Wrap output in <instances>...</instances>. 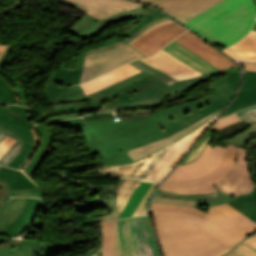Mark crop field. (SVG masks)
<instances>
[{
	"mask_svg": "<svg viewBox=\"0 0 256 256\" xmlns=\"http://www.w3.org/2000/svg\"><path fill=\"white\" fill-rule=\"evenodd\" d=\"M253 30H256V22H255V24H254Z\"/></svg>",
	"mask_w": 256,
	"mask_h": 256,
	"instance_id": "f0312440",
	"label": "crop field"
},
{
	"mask_svg": "<svg viewBox=\"0 0 256 256\" xmlns=\"http://www.w3.org/2000/svg\"><path fill=\"white\" fill-rule=\"evenodd\" d=\"M0 103L3 104H13V96L8 88L7 85H5L0 80Z\"/></svg>",
	"mask_w": 256,
	"mask_h": 256,
	"instance_id": "dbb93151",
	"label": "crop field"
},
{
	"mask_svg": "<svg viewBox=\"0 0 256 256\" xmlns=\"http://www.w3.org/2000/svg\"><path fill=\"white\" fill-rule=\"evenodd\" d=\"M0 141L8 134L12 136L13 138L17 139L18 141L14 144V146L0 159V164L7 166L20 152V150L23 148V143L19 136L16 134L10 132L6 128L0 126Z\"/></svg>",
	"mask_w": 256,
	"mask_h": 256,
	"instance_id": "c035e120",
	"label": "crop field"
},
{
	"mask_svg": "<svg viewBox=\"0 0 256 256\" xmlns=\"http://www.w3.org/2000/svg\"><path fill=\"white\" fill-rule=\"evenodd\" d=\"M255 17L252 0H224L184 24L210 43L228 46L249 32Z\"/></svg>",
	"mask_w": 256,
	"mask_h": 256,
	"instance_id": "34b2d1b8",
	"label": "crop field"
},
{
	"mask_svg": "<svg viewBox=\"0 0 256 256\" xmlns=\"http://www.w3.org/2000/svg\"><path fill=\"white\" fill-rule=\"evenodd\" d=\"M238 114L246 121H256V106L238 112Z\"/></svg>",
	"mask_w": 256,
	"mask_h": 256,
	"instance_id": "db79e9e6",
	"label": "crop field"
},
{
	"mask_svg": "<svg viewBox=\"0 0 256 256\" xmlns=\"http://www.w3.org/2000/svg\"><path fill=\"white\" fill-rule=\"evenodd\" d=\"M237 121H241V119L238 117V115L236 113L230 115V116H227L225 118H222L220 120H218L213 128H215L216 130L220 129V128H223V127H226L228 125H231Z\"/></svg>",
	"mask_w": 256,
	"mask_h": 256,
	"instance_id": "0fb4a251",
	"label": "crop field"
},
{
	"mask_svg": "<svg viewBox=\"0 0 256 256\" xmlns=\"http://www.w3.org/2000/svg\"><path fill=\"white\" fill-rule=\"evenodd\" d=\"M156 11L153 8L145 7L124 13L117 14L103 22H100L88 15L73 24L67 31L81 38L95 36L102 33L105 26L120 22L125 19L135 18L149 12Z\"/></svg>",
	"mask_w": 256,
	"mask_h": 256,
	"instance_id": "5142ce71",
	"label": "crop field"
},
{
	"mask_svg": "<svg viewBox=\"0 0 256 256\" xmlns=\"http://www.w3.org/2000/svg\"><path fill=\"white\" fill-rule=\"evenodd\" d=\"M209 211L225 220L243 234L256 230V224L227 204L211 207Z\"/></svg>",
	"mask_w": 256,
	"mask_h": 256,
	"instance_id": "a9b5d70f",
	"label": "crop field"
},
{
	"mask_svg": "<svg viewBox=\"0 0 256 256\" xmlns=\"http://www.w3.org/2000/svg\"><path fill=\"white\" fill-rule=\"evenodd\" d=\"M221 106V107H220ZM225 105L217 102L215 104H212L210 106L197 109L195 111H192L188 114H185L181 117H178L174 120L168 121L166 123L160 124L161 128L164 130V132L170 136L176 131L202 119L203 117L209 115L210 113L224 107Z\"/></svg>",
	"mask_w": 256,
	"mask_h": 256,
	"instance_id": "4177f3b9",
	"label": "crop field"
},
{
	"mask_svg": "<svg viewBox=\"0 0 256 256\" xmlns=\"http://www.w3.org/2000/svg\"><path fill=\"white\" fill-rule=\"evenodd\" d=\"M12 196H28V197H41L42 193L38 189L30 190H10Z\"/></svg>",
	"mask_w": 256,
	"mask_h": 256,
	"instance_id": "447ae74e",
	"label": "crop field"
},
{
	"mask_svg": "<svg viewBox=\"0 0 256 256\" xmlns=\"http://www.w3.org/2000/svg\"><path fill=\"white\" fill-rule=\"evenodd\" d=\"M9 45H0V61H2L6 55Z\"/></svg>",
	"mask_w": 256,
	"mask_h": 256,
	"instance_id": "ade564c9",
	"label": "crop field"
},
{
	"mask_svg": "<svg viewBox=\"0 0 256 256\" xmlns=\"http://www.w3.org/2000/svg\"><path fill=\"white\" fill-rule=\"evenodd\" d=\"M17 140L10 136H6L0 143V158L12 147Z\"/></svg>",
	"mask_w": 256,
	"mask_h": 256,
	"instance_id": "0765c3eb",
	"label": "crop field"
},
{
	"mask_svg": "<svg viewBox=\"0 0 256 256\" xmlns=\"http://www.w3.org/2000/svg\"><path fill=\"white\" fill-rule=\"evenodd\" d=\"M215 118L216 116L183 139L136 163L106 167L99 171L118 177L162 180Z\"/></svg>",
	"mask_w": 256,
	"mask_h": 256,
	"instance_id": "412701ff",
	"label": "crop field"
},
{
	"mask_svg": "<svg viewBox=\"0 0 256 256\" xmlns=\"http://www.w3.org/2000/svg\"><path fill=\"white\" fill-rule=\"evenodd\" d=\"M212 87L215 90L212 96L154 112L151 119L129 123L120 119L86 122L90 130L84 132L89 154L102 155L104 166L134 162L124 151L167 137L158 124L217 101L227 105L235 95L222 79Z\"/></svg>",
	"mask_w": 256,
	"mask_h": 256,
	"instance_id": "8a807250",
	"label": "crop field"
},
{
	"mask_svg": "<svg viewBox=\"0 0 256 256\" xmlns=\"http://www.w3.org/2000/svg\"><path fill=\"white\" fill-rule=\"evenodd\" d=\"M143 17H145L147 19L141 21L139 24H137L135 27H133L132 29H130L129 31H127L123 35L130 37L134 32H136L140 28L146 26L147 24L151 23L152 21H154L156 19H159V18H162V17H166V15H164L163 13H161L159 11H156V12H152L150 14L144 15V16H140L138 18H143Z\"/></svg>",
	"mask_w": 256,
	"mask_h": 256,
	"instance_id": "25e5ab78",
	"label": "crop field"
},
{
	"mask_svg": "<svg viewBox=\"0 0 256 256\" xmlns=\"http://www.w3.org/2000/svg\"><path fill=\"white\" fill-rule=\"evenodd\" d=\"M220 256H256V250L240 242L235 247Z\"/></svg>",
	"mask_w": 256,
	"mask_h": 256,
	"instance_id": "425ffa30",
	"label": "crop field"
},
{
	"mask_svg": "<svg viewBox=\"0 0 256 256\" xmlns=\"http://www.w3.org/2000/svg\"><path fill=\"white\" fill-rule=\"evenodd\" d=\"M240 63L244 66L245 69L256 71V65H254V64L242 63V62H240Z\"/></svg>",
	"mask_w": 256,
	"mask_h": 256,
	"instance_id": "c3a83c6f",
	"label": "crop field"
},
{
	"mask_svg": "<svg viewBox=\"0 0 256 256\" xmlns=\"http://www.w3.org/2000/svg\"><path fill=\"white\" fill-rule=\"evenodd\" d=\"M237 147V162L232 170L214 187L217 191L229 193L233 196L249 194L256 189L250 176L249 165L245 148Z\"/></svg>",
	"mask_w": 256,
	"mask_h": 256,
	"instance_id": "5a996713",
	"label": "crop field"
},
{
	"mask_svg": "<svg viewBox=\"0 0 256 256\" xmlns=\"http://www.w3.org/2000/svg\"><path fill=\"white\" fill-rule=\"evenodd\" d=\"M236 158L235 146L228 143L219 166L211 174L196 180L163 182L160 189L186 194L217 192L213 186L231 170Z\"/></svg>",
	"mask_w": 256,
	"mask_h": 256,
	"instance_id": "e52e79f7",
	"label": "crop field"
},
{
	"mask_svg": "<svg viewBox=\"0 0 256 256\" xmlns=\"http://www.w3.org/2000/svg\"><path fill=\"white\" fill-rule=\"evenodd\" d=\"M251 193H253L254 195H256V190H255V191H253V192H251Z\"/></svg>",
	"mask_w": 256,
	"mask_h": 256,
	"instance_id": "1f1604b0",
	"label": "crop field"
},
{
	"mask_svg": "<svg viewBox=\"0 0 256 256\" xmlns=\"http://www.w3.org/2000/svg\"><path fill=\"white\" fill-rule=\"evenodd\" d=\"M210 203L197 202L195 208L192 207H183V206H173V205H165L158 203H151V212H176V213H186L201 217L203 219L206 218L207 212L199 210L200 205H204L209 207Z\"/></svg>",
	"mask_w": 256,
	"mask_h": 256,
	"instance_id": "028f5c9d",
	"label": "crop field"
},
{
	"mask_svg": "<svg viewBox=\"0 0 256 256\" xmlns=\"http://www.w3.org/2000/svg\"><path fill=\"white\" fill-rule=\"evenodd\" d=\"M159 182L121 179L117 192L116 209L112 215L93 220V222L148 215V202Z\"/></svg>",
	"mask_w": 256,
	"mask_h": 256,
	"instance_id": "dd49c442",
	"label": "crop field"
},
{
	"mask_svg": "<svg viewBox=\"0 0 256 256\" xmlns=\"http://www.w3.org/2000/svg\"><path fill=\"white\" fill-rule=\"evenodd\" d=\"M9 239V237L0 235V242Z\"/></svg>",
	"mask_w": 256,
	"mask_h": 256,
	"instance_id": "180be81f",
	"label": "crop field"
},
{
	"mask_svg": "<svg viewBox=\"0 0 256 256\" xmlns=\"http://www.w3.org/2000/svg\"><path fill=\"white\" fill-rule=\"evenodd\" d=\"M157 107L156 105H151L147 107H136V108H124V109H112V108H103L100 112L102 111H127V110H139V109H150Z\"/></svg>",
	"mask_w": 256,
	"mask_h": 256,
	"instance_id": "ae633e8c",
	"label": "crop field"
},
{
	"mask_svg": "<svg viewBox=\"0 0 256 256\" xmlns=\"http://www.w3.org/2000/svg\"><path fill=\"white\" fill-rule=\"evenodd\" d=\"M129 223V218L102 223L103 256H134Z\"/></svg>",
	"mask_w": 256,
	"mask_h": 256,
	"instance_id": "d8731c3e",
	"label": "crop field"
},
{
	"mask_svg": "<svg viewBox=\"0 0 256 256\" xmlns=\"http://www.w3.org/2000/svg\"><path fill=\"white\" fill-rule=\"evenodd\" d=\"M84 55L85 53L81 54L78 66L75 70L67 69V64H64L61 67V71L54 72L48 81L60 85H71L79 83L80 75L82 72Z\"/></svg>",
	"mask_w": 256,
	"mask_h": 256,
	"instance_id": "1d83c4d3",
	"label": "crop field"
},
{
	"mask_svg": "<svg viewBox=\"0 0 256 256\" xmlns=\"http://www.w3.org/2000/svg\"><path fill=\"white\" fill-rule=\"evenodd\" d=\"M48 124L62 125V126H66L69 128L83 130V131L88 130L85 123L83 122V119H81V118L61 120V121L47 123L46 125H48Z\"/></svg>",
	"mask_w": 256,
	"mask_h": 256,
	"instance_id": "73cf0c24",
	"label": "crop field"
},
{
	"mask_svg": "<svg viewBox=\"0 0 256 256\" xmlns=\"http://www.w3.org/2000/svg\"><path fill=\"white\" fill-rule=\"evenodd\" d=\"M4 106L0 104V111ZM9 117L0 113V125L6 127L10 131L18 134L22 141L24 142V149L19 153V155L8 165L9 167H13L18 169L21 163L25 160V158L30 153L34 138L32 132L28 128H22L19 125L8 120Z\"/></svg>",
	"mask_w": 256,
	"mask_h": 256,
	"instance_id": "eef30255",
	"label": "crop field"
},
{
	"mask_svg": "<svg viewBox=\"0 0 256 256\" xmlns=\"http://www.w3.org/2000/svg\"><path fill=\"white\" fill-rule=\"evenodd\" d=\"M165 94L166 91L148 83L122 92L120 96L110 101L105 107L123 108L158 104L165 101Z\"/></svg>",
	"mask_w": 256,
	"mask_h": 256,
	"instance_id": "22f410ed",
	"label": "crop field"
},
{
	"mask_svg": "<svg viewBox=\"0 0 256 256\" xmlns=\"http://www.w3.org/2000/svg\"><path fill=\"white\" fill-rule=\"evenodd\" d=\"M247 124L251 126L249 129L245 130L237 136L228 139L227 142L245 147V142L248 140V138L256 136V122H251Z\"/></svg>",
	"mask_w": 256,
	"mask_h": 256,
	"instance_id": "d23c7cc5",
	"label": "crop field"
},
{
	"mask_svg": "<svg viewBox=\"0 0 256 256\" xmlns=\"http://www.w3.org/2000/svg\"><path fill=\"white\" fill-rule=\"evenodd\" d=\"M139 60L173 76L178 80L202 75L201 73L189 68L188 66L162 50L150 58H144Z\"/></svg>",
	"mask_w": 256,
	"mask_h": 256,
	"instance_id": "4a817a6b",
	"label": "crop field"
},
{
	"mask_svg": "<svg viewBox=\"0 0 256 256\" xmlns=\"http://www.w3.org/2000/svg\"><path fill=\"white\" fill-rule=\"evenodd\" d=\"M0 180L9 183L10 189L37 188L22 172L3 166L0 168Z\"/></svg>",
	"mask_w": 256,
	"mask_h": 256,
	"instance_id": "bd1437ed",
	"label": "crop field"
},
{
	"mask_svg": "<svg viewBox=\"0 0 256 256\" xmlns=\"http://www.w3.org/2000/svg\"><path fill=\"white\" fill-rule=\"evenodd\" d=\"M26 198H12L8 207H0V230L6 229V225L13 222L21 213Z\"/></svg>",
	"mask_w": 256,
	"mask_h": 256,
	"instance_id": "5866460e",
	"label": "crop field"
},
{
	"mask_svg": "<svg viewBox=\"0 0 256 256\" xmlns=\"http://www.w3.org/2000/svg\"><path fill=\"white\" fill-rule=\"evenodd\" d=\"M254 1V4H255V7H256V0H253Z\"/></svg>",
	"mask_w": 256,
	"mask_h": 256,
	"instance_id": "819c52e7",
	"label": "crop field"
},
{
	"mask_svg": "<svg viewBox=\"0 0 256 256\" xmlns=\"http://www.w3.org/2000/svg\"><path fill=\"white\" fill-rule=\"evenodd\" d=\"M101 21L110 16L146 5L129 0H58Z\"/></svg>",
	"mask_w": 256,
	"mask_h": 256,
	"instance_id": "d1516ede",
	"label": "crop field"
},
{
	"mask_svg": "<svg viewBox=\"0 0 256 256\" xmlns=\"http://www.w3.org/2000/svg\"><path fill=\"white\" fill-rule=\"evenodd\" d=\"M253 104H256V72L246 70L244 81L237 98L221 117Z\"/></svg>",
	"mask_w": 256,
	"mask_h": 256,
	"instance_id": "dafd665d",
	"label": "crop field"
},
{
	"mask_svg": "<svg viewBox=\"0 0 256 256\" xmlns=\"http://www.w3.org/2000/svg\"><path fill=\"white\" fill-rule=\"evenodd\" d=\"M119 93L120 92L117 89H115L109 93L103 94L97 98H93L89 100V105L87 110H98L100 108H103L107 102H109L111 99L118 96Z\"/></svg>",
	"mask_w": 256,
	"mask_h": 256,
	"instance_id": "b54c1fbb",
	"label": "crop field"
},
{
	"mask_svg": "<svg viewBox=\"0 0 256 256\" xmlns=\"http://www.w3.org/2000/svg\"><path fill=\"white\" fill-rule=\"evenodd\" d=\"M185 31V28L171 20L148 29L129 43L144 54L150 56Z\"/></svg>",
	"mask_w": 256,
	"mask_h": 256,
	"instance_id": "3316defc",
	"label": "crop field"
},
{
	"mask_svg": "<svg viewBox=\"0 0 256 256\" xmlns=\"http://www.w3.org/2000/svg\"><path fill=\"white\" fill-rule=\"evenodd\" d=\"M85 120L92 119H106V118H114L113 113H100L96 115H87L83 117Z\"/></svg>",
	"mask_w": 256,
	"mask_h": 256,
	"instance_id": "e1d0b9f6",
	"label": "crop field"
},
{
	"mask_svg": "<svg viewBox=\"0 0 256 256\" xmlns=\"http://www.w3.org/2000/svg\"><path fill=\"white\" fill-rule=\"evenodd\" d=\"M138 69V68H137ZM133 66L127 64L119 69L108 72L100 77L84 82L81 85L85 95L95 92L105 86H108L114 82L124 79L128 76L140 72Z\"/></svg>",
	"mask_w": 256,
	"mask_h": 256,
	"instance_id": "00972430",
	"label": "crop field"
},
{
	"mask_svg": "<svg viewBox=\"0 0 256 256\" xmlns=\"http://www.w3.org/2000/svg\"><path fill=\"white\" fill-rule=\"evenodd\" d=\"M12 246L19 252L12 254L10 256H50L51 254L71 248V243L69 244H33L29 242H24L19 239L4 243L0 245V250L6 247Z\"/></svg>",
	"mask_w": 256,
	"mask_h": 256,
	"instance_id": "bc2a9ffb",
	"label": "crop field"
},
{
	"mask_svg": "<svg viewBox=\"0 0 256 256\" xmlns=\"http://www.w3.org/2000/svg\"><path fill=\"white\" fill-rule=\"evenodd\" d=\"M99 247H100V246H98V248H97L96 250H94V251H92V252H89V253H87V254H86V255H84V256H91V255H93V254L97 253V251H98Z\"/></svg>",
	"mask_w": 256,
	"mask_h": 256,
	"instance_id": "fb207236",
	"label": "crop field"
},
{
	"mask_svg": "<svg viewBox=\"0 0 256 256\" xmlns=\"http://www.w3.org/2000/svg\"><path fill=\"white\" fill-rule=\"evenodd\" d=\"M164 9L181 22H186L222 0H139Z\"/></svg>",
	"mask_w": 256,
	"mask_h": 256,
	"instance_id": "cbeb9de0",
	"label": "crop field"
},
{
	"mask_svg": "<svg viewBox=\"0 0 256 256\" xmlns=\"http://www.w3.org/2000/svg\"><path fill=\"white\" fill-rule=\"evenodd\" d=\"M246 244H248L249 246L253 247L254 249H256V234L247 238L246 240L242 241Z\"/></svg>",
	"mask_w": 256,
	"mask_h": 256,
	"instance_id": "c39391a2",
	"label": "crop field"
},
{
	"mask_svg": "<svg viewBox=\"0 0 256 256\" xmlns=\"http://www.w3.org/2000/svg\"><path fill=\"white\" fill-rule=\"evenodd\" d=\"M132 64H134L135 66H137L138 68L142 69L143 71L151 74L152 76L164 81L165 83L167 84H172L174 83L175 81H177L176 79H174L173 77L159 71V70H156L144 63H142L141 61L137 60V61H134L132 62Z\"/></svg>",
	"mask_w": 256,
	"mask_h": 256,
	"instance_id": "03da06ac",
	"label": "crop field"
},
{
	"mask_svg": "<svg viewBox=\"0 0 256 256\" xmlns=\"http://www.w3.org/2000/svg\"><path fill=\"white\" fill-rule=\"evenodd\" d=\"M2 113L10 116V120L16 122L22 127H34L30 117L28 116V110L19 106H5Z\"/></svg>",
	"mask_w": 256,
	"mask_h": 256,
	"instance_id": "b80d0937",
	"label": "crop field"
},
{
	"mask_svg": "<svg viewBox=\"0 0 256 256\" xmlns=\"http://www.w3.org/2000/svg\"><path fill=\"white\" fill-rule=\"evenodd\" d=\"M78 91H82L80 85H75L72 87H56L50 84H46V99L49 103H53L60 97L67 96L69 94H74Z\"/></svg>",
	"mask_w": 256,
	"mask_h": 256,
	"instance_id": "c21b1889",
	"label": "crop field"
},
{
	"mask_svg": "<svg viewBox=\"0 0 256 256\" xmlns=\"http://www.w3.org/2000/svg\"><path fill=\"white\" fill-rule=\"evenodd\" d=\"M152 202L166 203V204H173V205L193 206V207L195 206V203H196V201L164 198V197H158V196H154Z\"/></svg>",
	"mask_w": 256,
	"mask_h": 256,
	"instance_id": "1f2cbd36",
	"label": "crop field"
},
{
	"mask_svg": "<svg viewBox=\"0 0 256 256\" xmlns=\"http://www.w3.org/2000/svg\"><path fill=\"white\" fill-rule=\"evenodd\" d=\"M0 72H1L4 76H6L5 73H4V71H3L2 69H0ZM6 77H7V76H6ZM7 78H8V77H7ZM8 79H9V80L13 83V85L16 87L17 93H18L19 98H20L21 105L28 106L27 98H26V95H25V92H24L23 88L21 87V84L15 82V81H13V80H11L10 78H8Z\"/></svg>",
	"mask_w": 256,
	"mask_h": 256,
	"instance_id": "7b73153f",
	"label": "crop field"
},
{
	"mask_svg": "<svg viewBox=\"0 0 256 256\" xmlns=\"http://www.w3.org/2000/svg\"><path fill=\"white\" fill-rule=\"evenodd\" d=\"M239 79H240V71L239 72H232L229 73L227 75H225V77L223 78V80L225 81V83L234 91L236 92L237 90V86L239 83Z\"/></svg>",
	"mask_w": 256,
	"mask_h": 256,
	"instance_id": "1d79db26",
	"label": "crop field"
},
{
	"mask_svg": "<svg viewBox=\"0 0 256 256\" xmlns=\"http://www.w3.org/2000/svg\"><path fill=\"white\" fill-rule=\"evenodd\" d=\"M232 71H239V68L236 67V68H232V69H228V70L217 71V72L208 74L206 76L192 78V79H188V80H184V81H178V82L172 84L171 86L163 83L162 81H160L158 79H155L154 77H152L150 75H148L144 78L151 84L168 91V93L166 95V97H168V96H173L179 92H183V91L195 86L198 83L204 82L205 80L211 78L214 75H220L223 73L225 75L226 73L232 72Z\"/></svg>",
	"mask_w": 256,
	"mask_h": 256,
	"instance_id": "ae1a2a85",
	"label": "crop field"
},
{
	"mask_svg": "<svg viewBox=\"0 0 256 256\" xmlns=\"http://www.w3.org/2000/svg\"><path fill=\"white\" fill-rule=\"evenodd\" d=\"M40 203L41 199L27 198L21 215L13 223L7 225V230L0 231V234L9 237H15L21 234L32 220L34 212Z\"/></svg>",
	"mask_w": 256,
	"mask_h": 256,
	"instance_id": "750c4746",
	"label": "crop field"
},
{
	"mask_svg": "<svg viewBox=\"0 0 256 256\" xmlns=\"http://www.w3.org/2000/svg\"><path fill=\"white\" fill-rule=\"evenodd\" d=\"M88 101L85 102H72V103H60V104H51L52 110L45 112L41 115L38 121L51 118L63 113L71 112H81L85 111L87 108Z\"/></svg>",
	"mask_w": 256,
	"mask_h": 256,
	"instance_id": "e1f06a70",
	"label": "crop field"
},
{
	"mask_svg": "<svg viewBox=\"0 0 256 256\" xmlns=\"http://www.w3.org/2000/svg\"><path fill=\"white\" fill-rule=\"evenodd\" d=\"M223 52L236 60L256 61V31H251L244 39L226 48Z\"/></svg>",
	"mask_w": 256,
	"mask_h": 256,
	"instance_id": "d3111659",
	"label": "crop field"
},
{
	"mask_svg": "<svg viewBox=\"0 0 256 256\" xmlns=\"http://www.w3.org/2000/svg\"><path fill=\"white\" fill-rule=\"evenodd\" d=\"M152 216L164 256H209L246 237L210 212L205 220L176 213Z\"/></svg>",
	"mask_w": 256,
	"mask_h": 256,
	"instance_id": "ac0d7876",
	"label": "crop field"
},
{
	"mask_svg": "<svg viewBox=\"0 0 256 256\" xmlns=\"http://www.w3.org/2000/svg\"><path fill=\"white\" fill-rule=\"evenodd\" d=\"M158 193L165 194V195H171V196H179V197H185V198H196V199H204V200H209V199H214V198L224 196L223 194H221L219 192L211 193V194L185 195V194H178V193H172V192H166V191L159 190Z\"/></svg>",
	"mask_w": 256,
	"mask_h": 256,
	"instance_id": "89e229c0",
	"label": "crop field"
},
{
	"mask_svg": "<svg viewBox=\"0 0 256 256\" xmlns=\"http://www.w3.org/2000/svg\"><path fill=\"white\" fill-rule=\"evenodd\" d=\"M9 187L7 183L0 181V205L7 206L10 198Z\"/></svg>",
	"mask_w": 256,
	"mask_h": 256,
	"instance_id": "9d1cf04e",
	"label": "crop field"
},
{
	"mask_svg": "<svg viewBox=\"0 0 256 256\" xmlns=\"http://www.w3.org/2000/svg\"><path fill=\"white\" fill-rule=\"evenodd\" d=\"M80 116L79 113H72V114H64L58 117H54L51 119L43 120V122L50 121V120H58V119H64V118H70V117H77Z\"/></svg>",
	"mask_w": 256,
	"mask_h": 256,
	"instance_id": "d14b1444",
	"label": "crop field"
},
{
	"mask_svg": "<svg viewBox=\"0 0 256 256\" xmlns=\"http://www.w3.org/2000/svg\"><path fill=\"white\" fill-rule=\"evenodd\" d=\"M163 50L167 51L186 65L198 70L204 75L218 70L216 67L209 64L174 40L169 45L165 46Z\"/></svg>",
	"mask_w": 256,
	"mask_h": 256,
	"instance_id": "92a150f3",
	"label": "crop field"
},
{
	"mask_svg": "<svg viewBox=\"0 0 256 256\" xmlns=\"http://www.w3.org/2000/svg\"><path fill=\"white\" fill-rule=\"evenodd\" d=\"M213 132L210 130L207 132V134L199 141V143L193 148L192 151L186 156V158L179 164H186L195 158H197L204 150L205 146L207 145L209 139L212 137Z\"/></svg>",
	"mask_w": 256,
	"mask_h": 256,
	"instance_id": "5d738f31",
	"label": "crop field"
},
{
	"mask_svg": "<svg viewBox=\"0 0 256 256\" xmlns=\"http://www.w3.org/2000/svg\"><path fill=\"white\" fill-rule=\"evenodd\" d=\"M84 100H87V98H86V96L84 95V93L82 91V92H78V93H76L74 95H69L67 97L60 98L55 103L72 102V101H84Z\"/></svg>",
	"mask_w": 256,
	"mask_h": 256,
	"instance_id": "78b8030e",
	"label": "crop field"
},
{
	"mask_svg": "<svg viewBox=\"0 0 256 256\" xmlns=\"http://www.w3.org/2000/svg\"><path fill=\"white\" fill-rule=\"evenodd\" d=\"M222 109L218 110L217 112L203 118L202 120L196 122L195 124L173 134L172 136L163 139V140H159V141H155L149 144H146L144 146L126 151V153L134 160H138L140 158H143L149 154H152L158 150H160L161 148L167 146L168 144L176 141L177 139L181 138L182 136L186 135L187 133H189L190 131H192L194 128H196L197 126L201 125L202 123H204L205 121H207L208 119H210L211 117H213L214 115H216L217 113H219L220 111H222Z\"/></svg>",
	"mask_w": 256,
	"mask_h": 256,
	"instance_id": "214f88e0",
	"label": "crop field"
},
{
	"mask_svg": "<svg viewBox=\"0 0 256 256\" xmlns=\"http://www.w3.org/2000/svg\"><path fill=\"white\" fill-rule=\"evenodd\" d=\"M34 134V138H35V143H34V146H33V150L31 151L30 155L27 157V159L23 162V164L20 166V170L23 169V167L27 164V162L31 159V157L33 156V154L35 153L38 145H39V142H40V138L38 136V133L36 132L35 128H30Z\"/></svg>",
	"mask_w": 256,
	"mask_h": 256,
	"instance_id": "0f1d7ab4",
	"label": "crop field"
},
{
	"mask_svg": "<svg viewBox=\"0 0 256 256\" xmlns=\"http://www.w3.org/2000/svg\"><path fill=\"white\" fill-rule=\"evenodd\" d=\"M174 40L189 48L190 50L198 54L200 57L216 66L219 70L237 66L227 57L222 55L220 52L212 48L204 41L200 40L196 35L192 34L190 31L183 33L181 36Z\"/></svg>",
	"mask_w": 256,
	"mask_h": 256,
	"instance_id": "733c2abd",
	"label": "crop field"
},
{
	"mask_svg": "<svg viewBox=\"0 0 256 256\" xmlns=\"http://www.w3.org/2000/svg\"><path fill=\"white\" fill-rule=\"evenodd\" d=\"M225 149L207 145L204 152L193 162L177 167L164 181H182L202 177L212 172L220 162ZM212 162V164H210Z\"/></svg>",
	"mask_w": 256,
	"mask_h": 256,
	"instance_id": "28ad6ade",
	"label": "crop field"
},
{
	"mask_svg": "<svg viewBox=\"0 0 256 256\" xmlns=\"http://www.w3.org/2000/svg\"><path fill=\"white\" fill-rule=\"evenodd\" d=\"M224 251H226V250L223 248L222 250H220L219 252H217V253H215V254H213V255H211V256H218V255H220L221 253H223Z\"/></svg>",
	"mask_w": 256,
	"mask_h": 256,
	"instance_id": "7312dd0a",
	"label": "crop field"
},
{
	"mask_svg": "<svg viewBox=\"0 0 256 256\" xmlns=\"http://www.w3.org/2000/svg\"><path fill=\"white\" fill-rule=\"evenodd\" d=\"M36 127L43 139V142L36 156L33 158L30 164L24 169V172L31 179L41 161L49 153L50 132L48 131L47 126L45 124L37 125Z\"/></svg>",
	"mask_w": 256,
	"mask_h": 256,
	"instance_id": "120bbe31",
	"label": "crop field"
},
{
	"mask_svg": "<svg viewBox=\"0 0 256 256\" xmlns=\"http://www.w3.org/2000/svg\"><path fill=\"white\" fill-rule=\"evenodd\" d=\"M238 201L228 203L230 206L244 214L249 219L256 222V197L252 195H244L234 197Z\"/></svg>",
	"mask_w": 256,
	"mask_h": 256,
	"instance_id": "0bd39190",
	"label": "crop field"
},
{
	"mask_svg": "<svg viewBox=\"0 0 256 256\" xmlns=\"http://www.w3.org/2000/svg\"><path fill=\"white\" fill-rule=\"evenodd\" d=\"M146 75H148V74L142 71V72H140V73H138L136 75H133V76L128 77V78H126L124 80H121V81H119V82H117L115 84H112V85H110L108 87H105V88H103V89H101V90H99V91H97L95 93L87 95V98L89 100L90 98L96 97L98 95H101V94H103L105 92H108V91H110L112 89H115V88H117L120 92H122V91H126V90H129V89H132L134 87L143 85L145 83H148L146 80H144L142 78L143 76H146Z\"/></svg>",
	"mask_w": 256,
	"mask_h": 256,
	"instance_id": "d32e631a",
	"label": "crop field"
},
{
	"mask_svg": "<svg viewBox=\"0 0 256 256\" xmlns=\"http://www.w3.org/2000/svg\"><path fill=\"white\" fill-rule=\"evenodd\" d=\"M130 220L135 256H160L149 216Z\"/></svg>",
	"mask_w": 256,
	"mask_h": 256,
	"instance_id": "d9b57169",
	"label": "crop field"
},
{
	"mask_svg": "<svg viewBox=\"0 0 256 256\" xmlns=\"http://www.w3.org/2000/svg\"><path fill=\"white\" fill-rule=\"evenodd\" d=\"M95 192L100 193L99 197L96 199H91L87 202H80L72 204L73 207L83 213L91 208L95 207H105L110 210V212L115 209L116 201V191L118 186H93Z\"/></svg>",
	"mask_w": 256,
	"mask_h": 256,
	"instance_id": "730fd06b",
	"label": "crop field"
},
{
	"mask_svg": "<svg viewBox=\"0 0 256 256\" xmlns=\"http://www.w3.org/2000/svg\"><path fill=\"white\" fill-rule=\"evenodd\" d=\"M167 20L171 19L169 17L159 19L140 29L127 40L116 42L109 46L86 52L80 83L99 76L134 59L147 57L140 51L136 50L128 42L139 36L151 26Z\"/></svg>",
	"mask_w": 256,
	"mask_h": 256,
	"instance_id": "f4fd0767",
	"label": "crop field"
},
{
	"mask_svg": "<svg viewBox=\"0 0 256 256\" xmlns=\"http://www.w3.org/2000/svg\"><path fill=\"white\" fill-rule=\"evenodd\" d=\"M17 252L16 250H14L12 247L10 248H6L0 251V256H6V255H10L12 253Z\"/></svg>",
	"mask_w": 256,
	"mask_h": 256,
	"instance_id": "c5b07064",
	"label": "crop field"
}]
</instances>
